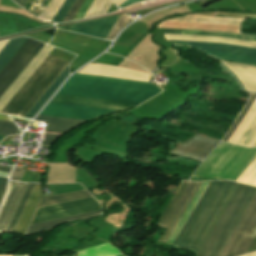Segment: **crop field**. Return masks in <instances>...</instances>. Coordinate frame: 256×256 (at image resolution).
<instances>
[{"label": "crop field", "instance_id": "38", "mask_svg": "<svg viewBox=\"0 0 256 256\" xmlns=\"http://www.w3.org/2000/svg\"><path fill=\"white\" fill-rule=\"evenodd\" d=\"M0 120L12 122V120L9 118V116L4 115V114H0Z\"/></svg>", "mask_w": 256, "mask_h": 256}, {"label": "crop field", "instance_id": "39", "mask_svg": "<svg viewBox=\"0 0 256 256\" xmlns=\"http://www.w3.org/2000/svg\"><path fill=\"white\" fill-rule=\"evenodd\" d=\"M64 2V0H62L59 5L56 7V9L54 10L53 14L51 15V17L48 19L49 21H51L52 17L54 16V14L57 12V10L59 9V7L61 6V4Z\"/></svg>", "mask_w": 256, "mask_h": 256}, {"label": "crop field", "instance_id": "21", "mask_svg": "<svg viewBox=\"0 0 256 256\" xmlns=\"http://www.w3.org/2000/svg\"><path fill=\"white\" fill-rule=\"evenodd\" d=\"M26 39H27L26 37H22V38L13 39L10 41L8 40L9 42L8 41L0 42V51L8 42V44L0 52V70L14 55V53L20 48V46L25 42Z\"/></svg>", "mask_w": 256, "mask_h": 256}, {"label": "crop field", "instance_id": "15", "mask_svg": "<svg viewBox=\"0 0 256 256\" xmlns=\"http://www.w3.org/2000/svg\"><path fill=\"white\" fill-rule=\"evenodd\" d=\"M224 64L237 75L245 90L256 92V67L227 62Z\"/></svg>", "mask_w": 256, "mask_h": 256}, {"label": "crop field", "instance_id": "44", "mask_svg": "<svg viewBox=\"0 0 256 256\" xmlns=\"http://www.w3.org/2000/svg\"><path fill=\"white\" fill-rule=\"evenodd\" d=\"M0 175H3V176H8V173H5V172H0Z\"/></svg>", "mask_w": 256, "mask_h": 256}, {"label": "crop field", "instance_id": "16", "mask_svg": "<svg viewBox=\"0 0 256 256\" xmlns=\"http://www.w3.org/2000/svg\"><path fill=\"white\" fill-rule=\"evenodd\" d=\"M98 214H101L100 210L89 212V213H84V214H79V215H74V216H70V217L60 218V219H56V220L41 222V223H37V224H32L29 226L26 235L50 230V229H53V228H55L59 225H62L64 223L72 222V221H76V220H80V219H85V218L92 217V216H95Z\"/></svg>", "mask_w": 256, "mask_h": 256}, {"label": "crop field", "instance_id": "13", "mask_svg": "<svg viewBox=\"0 0 256 256\" xmlns=\"http://www.w3.org/2000/svg\"><path fill=\"white\" fill-rule=\"evenodd\" d=\"M53 47L45 44L18 78L12 83L7 91L0 98V110L7 103V101L14 95V93L20 88V86L26 81V79L32 74V72L38 67V65L45 59V57L51 52ZM3 109V108H2Z\"/></svg>", "mask_w": 256, "mask_h": 256}, {"label": "crop field", "instance_id": "25", "mask_svg": "<svg viewBox=\"0 0 256 256\" xmlns=\"http://www.w3.org/2000/svg\"><path fill=\"white\" fill-rule=\"evenodd\" d=\"M35 184H28L6 232H13Z\"/></svg>", "mask_w": 256, "mask_h": 256}, {"label": "crop field", "instance_id": "4", "mask_svg": "<svg viewBox=\"0 0 256 256\" xmlns=\"http://www.w3.org/2000/svg\"><path fill=\"white\" fill-rule=\"evenodd\" d=\"M256 157V148H243L221 142L193 176L235 181Z\"/></svg>", "mask_w": 256, "mask_h": 256}, {"label": "crop field", "instance_id": "31", "mask_svg": "<svg viewBox=\"0 0 256 256\" xmlns=\"http://www.w3.org/2000/svg\"><path fill=\"white\" fill-rule=\"evenodd\" d=\"M255 97H256V95L251 94V97H250V100H249L248 104L246 105V107L244 108V110L242 111V113L240 114V116L238 117V119L236 120L234 125L232 126L231 130L229 131V133L225 136L223 141H227L229 139V137L231 136L232 132L234 131V129L236 128V126L240 122L241 118L243 117V115L245 114V112L247 111V109L249 108V106L251 105V103H252V101L254 100Z\"/></svg>", "mask_w": 256, "mask_h": 256}, {"label": "crop field", "instance_id": "37", "mask_svg": "<svg viewBox=\"0 0 256 256\" xmlns=\"http://www.w3.org/2000/svg\"><path fill=\"white\" fill-rule=\"evenodd\" d=\"M15 3H17L21 7H25L26 0H13Z\"/></svg>", "mask_w": 256, "mask_h": 256}, {"label": "crop field", "instance_id": "17", "mask_svg": "<svg viewBox=\"0 0 256 256\" xmlns=\"http://www.w3.org/2000/svg\"><path fill=\"white\" fill-rule=\"evenodd\" d=\"M41 195V185L36 184L14 232L24 234Z\"/></svg>", "mask_w": 256, "mask_h": 256}, {"label": "crop field", "instance_id": "14", "mask_svg": "<svg viewBox=\"0 0 256 256\" xmlns=\"http://www.w3.org/2000/svg\"><path fill=\"white\" fill-rule=\"evenodd\" d=\"M118 17L119 15L74 25L71 27L70 31L106 39L107 35L109 34Z\"/></svg>", "mask_w": 256, "mask_h": 256}, {"label": "crop field", "instance_id": "10", "mask_svg": "<svg viewBox=\"0 0 256 256\" xmlns=\"http://www.w3.org/2000/svg\"><path fill=\"white\" fill-rule=\"evenodd\" d=\"M98 209L100 205L93 197L44 207L37 210L31 224Z\"/></svg>", "mask_w": 256, "mask_h": 256}, {"label": "crop field", "instance_id": "47", "mask_svg": "<svg viewBox=\"0 0 256 256\" xmlns=\"http://www.w3.org/2000/svg\"><path fill=\"white\" fill-rule=\"evenodd\" d=\"M2 177H0V180H1Z\"/></svg>", "mask_w": 256, "mask_h": 256}, {"label": "crop field", "instance_id": "34", "mask_svg": "<svg viewBox=\"0 0 256 256\" xmlns=\"http://www.w3.org/2000/svg\"><path fill=\"white\" fill-rule=\"evenodd\" d=\"M13 172V171H12ZM23 170H20V169H17V168H15L14 169V172H13V174L11 175V179L12 180H16V181H19L20 180V178H21V176H22V174H23Z\"/></svg>", "mask_w": 256, "mask_h": 256}, {"label": "crop field", "instance_id": "30", "mask_svg": "<svg viewBox=\"0 0 256 256\" xmlns=\"http://www.w3.org/2000/svg\"><path fill=\"white\" fill-rule=\"evenodd\" d=\"M84 0H76L73 4V6L71 7L70 11L68 12L67 16L65 17V19L63 20V22L65 21H71L74 20L80 6L82 5Z\"/></svg>", "mask_w": 256, "mask_h": 256}, {"label": "crop field", "instance_id": "32", "mask_svg": "<svg viewBox=\"0 0 256 256\" xmlns=\"http://www.w3.org/2000/svg\"><path fill=\"white\" fill-rule=\"evenodd\" d=\"M59 2H60V0H51L48 8L43 10L42 13L38 16V18L47 20L49 18V16L51 15L53 9L56 7V5Z\"/></svg>", "mask_w": 256, "mask_h": 256}, {"label": "crop field", "instance_id": "7", "mask_svg": "<svg viewBox=\"0 0 256 256\" xmlns=\"http://www.w3.org/2000/svg\"><path fill=\"white\" fill-rule=\"evenodd\" d=\"M256 238V194L235 226L218 256H237L248 252Z\"/></svg>", "mask_w": 256, "mask_h": 256}, {"label": "crop field", "instance_id": "26", "mask_svg": "<svg viewBox=\"0 0 256 256\" xmlns=\"http://www.w3.org/2000/svg\"><path fill=\"white\" fill-rule=\"evenodd\" d=\"M111 3L110 0H95L84 18L106 13Z\"/></svg>", "mask_w": 256, "mask_h": 256}, {"label": "crop field", "instance_id": "19", "mask_svg": "<svg viewBox=\"0 0 256 256\" xmlns=\"http://www.w3.org/2000/svg\"><path fill=\"white\" fill-rule=\"evenodd\" d=\"M208 184H209V182H203L201 184L200 188L196 192L195 196L193 197V199L190 202L189 206L187 207L186 211L182 215L181 219L179 220V222L176 225L175 229L173 230L172 234L168 238L167 243L173 244L174 240L176 239L177 235L179 234L180 230L182 229V227L185 224L186 220L188 219L189 215L193 211L194 207L196 206L197 202L199 201L200 197L202 196V194L205 191Z\"/></svg>", "mask_w": 256, "mask_h": 256}, {"label": "crop field", "instance_id": "23", "mask_svg": "<svg viewBox=\"0 0 256 256\" xmlns=\"http://www.w3.org/2000/svg\"><path fill=\"white\" fill-rule=\"evenodd\" d=\"M164 33L228 37V38H234V39L256 42L255 37H248V36L235 35V34H229V33L187 31V30H171V29H164Z\"/></svg>", "mask_w": 256, "mask_h": 256}, {"label": "crop field", "instance_id": "11", "mask_svg": "<svg viewBox=\"0 0 256 256\" xmlns=\"http://www.w3.org/2000/svg\"><path fill=\"white\" fill-rule=\"evenodd\" d=\"M218 142L216 140L194 136L171 152L204 160Z\"/></svg>", "mask_w": 256, "mask_h": 256}, {"label": "crop field", "instance_id": "45", "mask_svg": "<svg viewBox=\"0 0 256 256\" xmlns=\"http://www.w3.org/2000/svg\"><path fill=\"white\" fill-rule=\"evenodd\" d=\"M3 138H5V137H4V136H0V141H1Z\"/></svg>", "mask_w": 256, "mask_h": 256}, {"label": "crop field", "instance_id": "12", "mask_svg": "<svg viewBox=\"0 0 256 256\" xmlns=\"http://www.w3.org/2000/svg\"><path fill=\"white\" fill-rule=\"evenodd\" d=\"M27 184L10 181L9 191L0 210V232H5Z\"/></svg>", "mask_w": 256, "mask_h": 256}, {"label": "crop field", "instance_id": "41", "mask_svg": "<svg viewBox=\"0 0 256 256\" xmlns=\"http://www.w3.org/2000/svg\"><path fill=\"white\" fill-rule=\"evenodd\" d=\"M12 119H15V120H21V121H26V122H29L30 120H27V119H23V118H18V117H14V116H11Z\"/></svg>", "mask_w": 256, "mask_h": 256}, {"label": "crop field", "instance_id": "3", "mask_svg": "<svg viewBox=\"0 0 256 256\" xmlns=\"http://www.w3.org/2000/svg\"><path fill=\"white\" fill-rule=\"evenodd\" d=\"M69 63L48 55L0 112L24 117Z\"/></svg>", "mask_w": 256, "mask_h": 256}, {"label": "crop field", "instance_id": "9", "mask_svg": "<svg viewBox=\"0 0 256 256\" xmlns=\"http://www.w3.org/2000/svg\"><path fill=\"white\" fill-rule=\"evenodd\" d=\"M44 43L28 38L0 71V97L22 72Z\"/></svg>", "mask_w": 256, "mask_h": 256}, {"label": "crop field", "instance_id": "6", "mask_svg": "<svg viewBox=\"0 0 256 256\" xmlns=\"http://www.w3.org/2000/svg\"><path fill=\"white\" fill-rule=\"evenodd\" d=\"M164 36H165V38H173V39L228 42V43H235V44L256 47V43L228 39V38L171 35V34H164ZM173 39H167V40H169L175 44H179V45L193 46L201 51H204V52H206L212 56H215L217 58H220V59L256 65V48L255 47L241 46V45L228 44V43L173 40Z\"/></svg>", "mask_w": 256, "mask_h": 256}, {"label": "crop field", "instance_id": "29", "mask_svg": "<svg viewBox=\"0 0 256 256\" xmlns=\"http://www.w3.org/2000/svg\"><path fill=\"white\" fill-rule=\"evenodd\" d=\"M73 2L74 0H65V2L60 7V9L58 10L57 14L55 15V17L51 22H57V23L62 22V20L64 19L65 15L67 14Z\"/></svg>", "mask_w": 256, "mask_h": 256}, {"label": "crop field", "instance_id": "20", "mask_svg": "<svg viewBox=\"0 0 256 256\" xmlns=\"http://www.w3.org/2000/svg\"><path fill=\"white\" fill-rule=\"evenodd\" d=\"M91 195L86 191H78L74 193H69V194H61V195H49L45 196L42 198L41 203L38 208L44 207V206H49V205H54L58 203H63L67 201H72L76 199H81V198H86L90 197Z\"/></svg>", "mask_w": 256, "mask_h": 256}, {"label": "crop field", "instance_id": "8", "mask_svg": "<svg viewBox=\"0 0 256 256\" xmlns=\"http://www.w3.org/2000/svg\"><path fill=\"white\" fill-rule=\"evenodd\" d=\"M200 184L201 182H183L180 189L170 202L169 206L167 207L165 213L163 214L161 220L158 223V226L166 228L158 241L166 242L167 238L177 224L178 220L180 219L181 215L183 214L184 210L186 209L187 205L194 196Z\"/></svg>", "mask_w": 256, "mask_h": 256}, {"label": "crop field", "instance_id": "28", "mask_svg": "<svg viewBox=\"0 0 256 256\" xmlns=\"http://www.w3.org/2000/svg\"><path fill=\"white\" fill-rule=\"evenodd\" d=\"M18 131L19 129L14 123L0 121V135H15Z\"/></svg>", "mask_w": 256, "mask_h": 256}, {"label": "crop field", "instance_id": "22", "mask_svg": "<svg viewBox=\"0 0 256 256\" xmlns=\"http://www.w3.org/2000/svg\"><path fill=\"white\" fill-rule=\"evenodd\" d=\"M69 76L68 67L62 72V74L56 79V81L50 86L45 94L39 99V101L33 106V108L27 113L25 117L33 118L35 114L42 108L51 94L60 86L63 80ZM53 95V94H52Z\"/></svg>", "mask_w": 256, "mask_h": 256}, {"label": "crop field", "instance_id": "2", "mask_svg": "<svg viewBox=\"0 0 256 256\" xmlns=\"http://www.w3.org/2000/svg\"><path fill=\"white\" fill-rule=\"evenodd\" d=\"M236 186L230 181L210 182L174 245L197 251Z\"/></svg>", "mask_w": 256, "mask_h": 256}, {"label": "crop field", "instance_id": "27", "mask_svg": "<svg viewBox=\"0 0 256 256\" xmlns=\"http://www.w3.org/2000/svg\"><path fill=\"white\" fill-rule=\"evenodd\" d=\"M127 15L122 14L120 15L119 19L117 20L116 24L114 25L113 29L111 30L110 34L108 35L107 39L112 40L120 29L129 21H131Z\"/></svg>", "mask_w": 256, "mask_h": 256}, {"label": "crop field", "instance_id": "33", "mask_svg": "<svg viewBox=\"0 0 256 256\" xmlns=\"http://www.w3.org/2000/svg\"><path fill=\"white\" fill-rule=\"evenodd\" d=\"M93 2V0H85L83 5L81 6L76 18V19H80V18H83L86 10L88 9V7L91 5V3ZM88 11V10H87Z\"/></svg>", "mask_w": 256, "mask_h": 256}, {"label": "crop field", "instance_id": "36", "mask_svg": "<svg viewBox=\"0 0 256 256\" xmlns=\"http://www.w3.org/2000/svg\"><path fill=\"white\" fill-rule=\"evenodd\" d=\"M6 184H7V178H2L1 182H0V201H1V198L4 194V190H5V187H6Z\"/></svg>", "mask_w": 256, "mask_h": 256}, {"label": "crop field", "instance_id": "5", "mask_svg": "<svg viewBox=\"0 0 256 256\" xmlns=\"http://www.w3.org/2000/svg\"><path fill=\"white\" fill-rule=\"evenodd\" d=\"M255 192L256 187L239 184L238 188L200 249L198 253L199 256L218 255Z\"/></svg>", "mask_w": 256, "mask_h": 256}, {"label": "crop field", "instance_id": "35", "mask_svg": "<svg viewBox=\"0 0 256 256\" xmlns=\"http://www.w3.org/2000/svg\"><path fill=\"white\" fill-rule=\"evenodd\" d=\"M57 137L59 136L47 134L43 145L49 146Z\"/></svg>", "mask_w": 256, "mask_h": 256}, {"label": "crop field", "instance_id": "43", "mask_svg": "<svg viewBox=\"0 0 256 256\" xmlns=\"http://www.w3.org/2000/svg\"><path fill=\"white\" fill-rule=\"evenodd\" d=\"M114 3L118 6L120 5L122 2H124L125 0H113Z\"/></svg>", "mask_w": 256, "mask_h": 256}, {"label": "crop field", "instance_id": "18", "mask_svg": "<svg viewBox=\"0 0 256 256\" xmlns=\"http://www.w3.org/2000/svg\"><path fill=\"white\" fill-rule=\"evenodd\" d=\"M35 120L47 122L45 131L65 133L87 121L37 116Z\"/></svg>", "mask_w": 256, "mask_h": 256}, {"label": "crop field", "instance_id": "1", "mask_svg": "<svg viewBox=\"0 0 256 256\" xmlns=\"http://www.w3.org/2000/svg\"><path fill=\"white\" fill-rule=\"evenodd\" d=\"M148 82L149 74L102 64H88L77 73ZM73 75L39 115L91 120L141 104L162 90L150 83Z\"/></svg>", "mask_w": 256, "mask_h": 256}, {"label": "crop field", "instance_id": "46", "mask_svg": "<svg viewBox=\"0 0 256 256\" xmlns=\"http://www.w3.org/2000/svg\"><path fill=\"white\" fill-rule=\"evenodd\" d=\"M13 256H16V255H13ZM26 256H28V255H26Z\"/></svg>", "mask_w": 256, "mask_h": 256}, {"label": "crop field", "instance_id": "42", "mask_svg": "<svg viewBox=\"0 0 256 256\" xmlns=\"http://www.w3.org/2000/svg\"><path fill=\"white\" fill-rule=\"evenodd\" d=\"M10 168L9 167H3V166H0V171H6V172H9Z\"/></svg>", "mask_w": 256, "mask_h": 256}, {"label": "crop field", "instance_id": "24", "mask_svg": "<svg viewBox=\"0 0 256 256\" xmlns=\"http://www.w3.org/2000/svg\"><path fill=\"white\" fill-rule=\"evenodd\" d=\"M241 19L234 18H215V17H197V16H185L182 18L173 19V21H187V22H199V23H213V24H231L239 25Z\"/></svg>", "mask_w": 256, "mask_h": 256}, {"label": "crop field", "instance_id": "40", "mask_svg": "<svg viewBox=\"0 0 256 256\" xmlns=\"http://www.w3.org/2000/svg\"><path fill=\"white\" fill-rule=\"evenodd\" d=\"M136 1H139V0H127L125 3H123V4L120 5V6H124V5H127V4H129V3L136 2ZM120 6H118V7H120Z\"/></svg>", "mask_w": 256, "mask_h": 256}]
</instances>
